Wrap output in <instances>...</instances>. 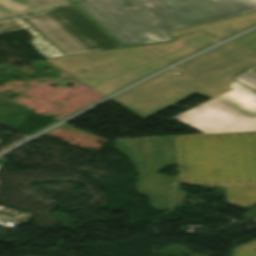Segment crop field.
<instances>
[{
    "instance_id": "8a807250",
    "label": "crop field",
    "mask_w": 256,
    "mask_h": 256,
    "mask_svg": "<svg viewBox=\"0 0 256 256\" xmlns=\"http://www.w3.org/2000/svg\"><path fill=\"white\" fill-rule=\"evenodd\" d=\"M123 47L175 40L169 31L256 10V0L72 1Z\"/></svg>"
},
{
    "instance_id": "ac0d7876",
    "label": "crop field",
    "mask_w": 256,
    "mask_h": 256,
    "mask_svg": "<svg viewBox=\"0 0 256 256\" xmlns=\"http://www.w3.org/2000/svg\"><path fill=\"white\" fill-rule=\"evenodd\" d=\"M256 59L225 44L111 99L141 118L193 94L211 99L231 90L232 77L252 66Z\"/></svg>"
},
{
    "instance_id": "34b2d1b8",
    "label": "crop field",
    "mask_w": 256,
    "mask_h": 256,
    "mask_svg": "<svg viewBox=\"0 0 256 256\" xmlns=\"http://www.w3.org/2000/svg\"><path fill=\"white\" fill-rule=\"evenodd\" d=\"M176 41L50 59L74 77L108 94L218 39L201 31Z\"/></svg>"
},
{
    "instance_id": "412701ff",
    "label": "crop field",
    "mask_w": 256,
    "mask_h": 256,
    "mask_svg": "<svg viewBox=\"0 0 256 256\" xmlns=\"http://www.w3.org/2000/svg\"><path fill=\"white\" fill-rule=\"evenodd\" d=\"M180 182L256 183V132L175 137Z\"/></svg>"
},
{
    "instance_id": "f4fd0767",
    "label": "crop field",
    "mask_w": 256,
    "mask_h": 256,
    "mask_svg": "<svg viewBox=\"0 0 256 256\" xmlns=\"http://www.w3.org/2000/svg\"><path fill=\"white\" fill-rule=\"evenodd\" d=\"M23 28L47 59L123 48L71 2L0 21V34Z\"/></svg>"
},
{
    "instance_id": "dd49c442",
    "label": "crop field",
    "mask_w": 256,
    "mask_h": 256,
    "mask_svg": "<svg viewBox=\"0 0 256 256\" xmlns=\"http://www.w3.org/2000/svg\"><path fill=\"white\" fill-rule=\"evenodd\" d=\"M116 143L140 173L138 193L149 195L157 211L169 208L173 178L158 174L157 169L176 166L174 137L124 139Z\"/></svg>"
},
{
    "instance_id": "e52e79f7",
    "label": "crop field",
    "mask_w": 256,
    "mask_h": 256,
    "mask_svg": "<svg viewBox=\"0 0 256 256\" xmlns=\"http://www.w3.org/2000/svg\"><path fill=\"white\" fill-rule=\"evenodd\" d=\"M174 118L205 134L256 131V121L213 100Z\"/></svg>"
},
{
    "instance_id": "d8731c3e",
    "label": "crop field",
    "mask_w": 256,
    "mask_h": 256,
    "mask_svg": "<svg viewBox=\"0 0 256 256\" xmlns=\"http://www.w3.org/2000/svg\"><path fill=\"white\" fill-rule=\"evenodd\" d=\"M233 90L213 99L256 120V92L233 81Z\"/></svg>"
},
{
    "instance_id": "5a996713",
    "label": "crop field",
    "mask_w": 256,
    "mask_h": 256,
    "mask_svg": "<svg viewBox=\"0 0 256 256\" xmlns=\"http://www.w3.org/2000/svg\"><path fill=\"white\" fill-rule=\"evenodd\" d=\"M67 0H0V19L38 11Z\"/></svg>"
},
{
    "instance_id": "3316defc",
    "label": "crop field",
    "mask_w": 256,
    "mask_h": 256,
    "mask_svg": "<svg viewBox=\"0 0 256 256\" xmlns=\"http://www.w3.org/2000/svg\"><path fill=\"white\" fill-rule=\"evenodd\" d=\"M228 203L243 207H251L256 204V185L225 186Z\"/></svg>"
},
{
    "instance_id": "28ad6ade",
    "label": "crop field",
    "mask_w": 256,
    "mask_h": 256,
    "mask_svg": "<svg viewBox=\"0 0 256 256\" xmlns=\"http://www.w3.org/2000/svg\"><path fill=\"white\" fill-rule=\"evenodd\" d=\"M256 240L237 248L231 249L230 256H256Z\"/></svg>"
},
{
    "instance_id": "d1516ede",
    "label": "crop field",
    "mask_w": 256,
    "mask_h": 256,
    "mask_svg": "<svg viewBox=\"0 0 256 256\" xmlns=\"http://www.w3.org/2000/svg\"><path fill=\"white\" fill-rule=\"evenodd\" d=\"M235 79L256 90V75L245 71L236 76Z\"/></svg>"
},
{
    "instance_id": "22f410ed",
    "label": "crop field",
    "mask_w": 256,
    "mask_h": 256,
    "mask_svg": "<svg viewBox=\"0 0 256 256\" xmlns=\"http://www.w3.org/2000/svg\"><path fill=\"white\" fill-rule=\"evenodd\" d=\"M185 192L179 191V185H175L173 207L180 206L184 204Z\"/></svg>"
},
{
    "instance_id": "cbeb9de0",
    "label": "crop field",
    "mask_w": 256,
    "mask_h": 256,
    "mask_svg": "<svg viewBox=\"0 0 256 256\" xmlns=\"http://www.w3.org/2000/svg\"><path fill=\"white\" fill-rule=\"evenodd\" d=\"M175 183H179L178 176L176 177Z\"/></svg>"
}]
</instances>
